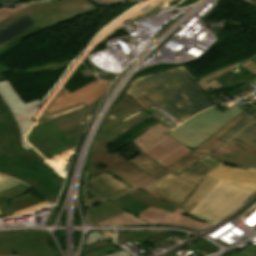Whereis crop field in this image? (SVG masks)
Instances as JSON below:
<instances>
[{
  "instance_id": "crop-field-39",
  "label": "crop field",
  "mask_w": 256,
  "mask_h": 256,
  "mask_svg": "<svg viewBox=\"0 0 256 256\" xmlns=\"http://www.w3.org/2000/svg\"><path fill=\"white\" fill-rule=\"evenodd\" d=\"M119 251L118 249H116L113 245L106 247V248H102L96 251H92L89 253H85L83 254V256H105V255H109L112 254L114 252Z\"/></svg>"
},
{
  "instance_id": "crop-field-25",
  "label": "crop field",
  "mask_w": 256,
  "mask_h": 256,
  "mask_svg": "<svg viewBox=\"0 0 256 256\" xmlns=\"http://www.w3.org/2000/svg\"><path fill=\"white\" fill-rule=\"evenodd\" d=\"M130 161L156 179L170 173L141 152Z\"/></svg>"
},
{
  "instance_id": "crop-field-53",
  "label": "crop field",
  "mask_w": 256,
  "mask_h": 256,
  "mask_svg": "<svg viewBox=\"0 0 256 256\" xmlns=\"http://www.w3.org/2000/svg\"><path fill=\"white\" fill-rule=\"evenodd\" d=\"M6 203L9 205V207L11 208L12 212H14L13 208L11 207V205L8 203V201H6Z\"/></svg>"
},
{
  "instance_id": "crop-field-45",
  "label": "crop field",
  "mask_w": 256,
  "mask_h": 256,
  "mask_svg": "<svg viewBox=\"0 0 256 256\" xmlns=\"http://www.w3.org/2000/svg\"><path fill=\"white\" fill-rule=\"evenodd\" d=\"M251 63L248 61L242 64L241 66L244 67L246 70H248L254 76L256 75V66Z\"/></svg>"
},
{
  "instance_id": "crop-field-8",
  "label": "crop field",
  "mask_w": 256,
  "mask_h": 256,
  "mask_svg": "<svg viewBox=\"0 0 256 256\" xmlns=\"http://www.w3.org/2000/svg\"><path fill=\"white\" fill-rule=\"evenodd\" d=\"M54 3L56 2L35 3L22 11L27 13L42 29L45 30L47 28L98 10L92 2H89L87 4L52 17L46 10L50 8Z\"/></svg>"
},
{
  "instance_id": "crop-field-1",
  "label": "crop field",
  "mask_w": 256,
  "mask_h": 256,
  "mask_svg": "<svg viewBox=\"0 0 256 256\" xmlns=\"http://www.w3.org/2000/svg\"><path fill=\"white\" fill-rule=\"evenodd\" d=\"M125 94L133 99L146 94L181 123L213 106L183 66L136 78Z\"/></svg>"
},
{
  "instance_id": "crop-field-37",
  "label": "crop field",
  "mask_w": 256,
  "mask_h": 256,
  "mask_svg": "<svg viewBox=\"0 0 256 256\" xmlns=\"http://www.w3.org/2000/svg\"><path fill=\"white\" fill-rule=\"evenodd\" d=\"M42 202L41 199H39L38 197L34 196L32 198L20 201L18 203L12 204V207L15 209V211L20 210V209H25L29 206H32L34 204L40 203Z\"/></svg>"
},
{
  "instance_id": "crop-field-29",
  "label": "crop field",
  "mask_w": 256,
  "mask_h": 256,
  "mask_svg": "<svg viewBox=\"0 0 256 256\" xmlns=\"http://www.w3.org/2000/svg\"><path fill=\"white\" fill-rule=\"evenodd\" d=\"M89 2L88 0H62L60 2H57L54 4L50 9L47 11L52 15L59 14L61 12H64L66 10H69L71 8L77 7L79 5H82L84 3Z\"/></svg>"
},
{
  "instance_id": "crop-field-3",
  "label": "crop field",
  "mask_w": 256,
  "mask_h": 256,
  "mask_svg": "<svg viewBox=\"0 0 256 256\" xmlns=\"http://www.w3.org/2000/svg\"><path fill=\"white\" fill-rule=\"evenodd\" d=\"M0 173L22 180L51 203H56L64 181L36 155L16 158L7 153L0 155Z\"/></svg>"
},
{
  "instance_id": "crop-field-10",
  "label": "crop field",
  "mask_w": 256,
  "mask_h": 256,
  "mask_svg": "<svg viewBox=\"0 0 256 256\" xmlns=\"http://www.w3.org/2000/svg\"><path fill=\"white\" fill-rule=\"evenodd\" d=\"M109 85L110 83L97 79L71 94L64 90L60 92L45 114L58 111L80 102L89 105L104 95Z\"/></svg>"
},
{
  "instance_id": "crop-field-20",
  "label": "crop field",
  "mask_w": 256,
  "mask_h": 256,
  "mask_svg": "<svg viewBox=\"0 0 256 256\" xmlns=\"http://www.w3.org/2000/svg\"><path fill=\"white\" fill-rule=\"evenodd\" d=\"M102 98L103 96L78 113L56 120V124L59 126L62 132L72 130L87 124L94 115Z\"/></svg>"
},
{
  "instance_id": "crop-field-2",
  "label": "crop field",
  "mask_w": 256,
  "mask_h": 256,
  "mask_svg": "<svg viewBox=\"0 0 256 256\" xmlns=\"http://www.w3.org/2000/svg\"><path fill=\"white\" fill-rule=\"evenodd\" d=\"M210 169L198 162L177 176L170 174L140 190L189 213L218 181L205 176Z\"/></svg>"
},
{
  "instance_id": "crop-field-6",
  "label": "crop field",
  "mask_w": 256,
  "mask_h": 256,
  "mask_svg": "<svg viewBox=\"0 0 256 256\" xmlns=\"http://www.w3.org/2000/svg\"><path fill=\"white\" fill-rule=\"evenodd\" d=\"M151 117L153 116L124 94L123 98L109 111L97 134L112 143L131 128Z\"/></svg>"
},
{
  "instance_id": "crop-field-35",
  "label": "crop field",
  "mask_w": 256,
  "mask_h": 256,
  "mask_svg": "<svg viewBox=\"0 0 256 256\" xmlns=\"http://www.w3.org/2000/svg\"><path fill=\"white\" fill-rule=\"evenodd\" d=\"M250 122H252V120L249 119L248 117H246L240 123H238L235 127H233L231 130H229V132H227L225 135H223L219 140L226 143L235 133H237L242 127H244L245 125H247Z\"/></svg>"
},
{
  "instance_id": "crop-field-4",
  "label": "crop field",
  "mask_w": 256,
  "mask_h": 256,
  "mask_svg": "<svg viewBox=\"0 0 256 256\" xmlns=\"http://www.w3.org/2000/svg\"><path fill=\"white\" fill-rule=\"evenodd\" d=\"M253 193L248 189L219 180L190 214L215 224L234 212Z\"/></svg>"
},
{
  "instance_id": "crop-field-21",
  "label": "crop field",
  "mask_w": 256,
  "mask_h": 256,
  "mask_svg": "<svg viewBox=\"0 0 256 256\" xmlns=\"http://www.w3.org/2000/svg\"><path fill=\"white\" fill-rule=\"evenodd\" d=\"M89 222L93 225L125 212L108 199L86 207ZM91 224V225H92Z\"/></svg>"
},
{
  "instance_id": "crop-field-34",
  "label": "crop field",
  "mask_w": 256,
  "mask_h": 256,
  "mask_svg": "<svg viewBox=\"0 0 256 256\" xmlns=\"http://www.w3.org/2000/svg\"><path fill=\"white\" fill-rule=\"evenodd\" d=\"M235 67H236L235 65L234 66H229V67H227L225 69H222V70H220V71H218L216 73H213V74H211V75H209V76H207V77H205L203 79L198 80L197 83L202 87V89L204 91H206L207 89L210 88L206 82H208V81H210V80H212V79H214V78H216V77H218L220 75H223V74L229 72L231 69H233Z\"/></svg>"
},
{
  "instance_id": "crop-field-55",
  "label": "crop field",
  "mask_w": 256,
  "mask_h": 256,
  "mask_svg": "<svg viewBox=\"0 0 256 256\" xmlns=\"http://www.w3.org/2000/svg\"><path fill=\"white\" fill-rule=\"evenodd\" d=\"M31 1H33V0H31Z\"/></svg>"
},
{
  "instance_id": "crop-field-49",
  "label": "crop field",
  "mask_w": 256,
  "mask_h": 256,
  "mask_svg": "<svg viewBox=\"0 0 256 256\" xmlns=\"http://www.w3.org/2000/svg\"><path fill=\"white\" fill-rule=\"evenodd\" d=\"M19 1H21V0H0V3L14 5L15 3L19 2Z\"/></svg>"
},
{
  "instance_id": "crop-field-26",
  "label": "crop field",
  "mask_w": 256,
  "mask_h": 256,
  "mask_svg": "<svg viewBox=\"0 0 256 256\" xmlns=\"http://www.w3.org/2000/svg\"><path fill=\"white\" fill-rule=\"evenodd\" d=\"M28 191L30 190H28L25 186L21 184L15 188H11L5 192L0 193V210L3 211L9 209L7 204L4 202L6 200H8L10 204H12L20 200L34 196Z\"/></svg>"
},
{
  "instance_id": "crop-field-32",
  "label": "crop field",
  "mask_w": 256,
  "mask_h": 256,
  "mask_svg": "<svg viewBox=\"0 0 256 256\" xmlns=\"http://www.w3.org/2000/svg\"><path fill=\"white\" fill-rule=\"evenodd\" d=\"M161 232L162 231H137V232H135V233L119 240V241H117V243L119 245H121V244H123V243H125V242H127V241H129L133 238L135 240H137L138 243H140V242L145 241V240H147V239H149V238H151V237H153V236H155V235H157Z\"/></svg>"
},
{
  "instance_id": "crop-field-48",
  "label": "crop field",
  "mask_w": 256,
  "mask_h": 256,
  "mask_svg": "<svg viewBox=\"0 0 256 256\" xmlns=\"http://www.w3.org/2000/svg\"><path fill=\"white\" fill-rule=\"evenodd\" d=\"M21 147L26 150V151H30V152H33L35 153L39 158L40 160H43V158L41 156H39L30 146H28L27 144L25 145H21Z\"/></svg>"
},
{
  "instance_id": "crop-field-27",
  "label": "crop field",
  "mask_w": 256,
  "mask_h": 256,
  "mask_svg": "<svg viewBox=\"0 0 256 256\" xmlns=\"http://www.w3.org/2000/svg\"><path fill=\"white\" fill-rule=\"evenodd\" d=\"M241 141L256 148V123L248 125L227 144L233 147Z\"/></svg>"
},
{
  "instance_id": "crop-field-33",
  "label": "crop field",
  "mask_w": 256,
  "mask_h": 256,
  "mask_svg": "<svg viewBox=\"0 0 256 256\" xmlns=\"http://www.w3.org/2000/svg\"><path fill=\"white\" fill-rule=\"evenodd\" d=\"M105 197L103 194H101L99 191H97L96 189H94L92 186H90L88 183H86L85 186V202H86V206L95 203L97 201H100Z\"/></svg>"
},
{
  "instance_id": "crop-field-44",
  "label": "crop field",
  "mask_w": 256,
  "mask_h": 256,
  "mask_svg": "<svg viewBox=\"0 0 256 256\" xmlns=\"http://www.w3.org/2000/svg\"><path fill=\"white\" fill-rule=\"evenodd\" d=\"M101 237H103V235L99 232L89 234V236L87 237L85 246L94 242H98L96 239Z\"/></svg>"
},
{
  "instance_id": "crop-field-19",
  "label": "crop field",
  "mask_w": 256,
  "mask_h": 256,
  "mask_svg": "<svg viewBox=\"0 0 256 256\" xmlns=\"http://www.w3.org/2000/svg\"><path fill=\"white\" fill-rule=\"evenodd\" d=\"M86 182L99 190L108 198L117 197L127 191L132 190L123 184L120 180L108 173L98 175Z\"/></svg>"
},
{
  "instance_id": "crop-field-52",
  "label": "crop field",
  "mask_w": 256,
  "mask_h": 256,
  "mask_svg": "<svg viewBox=\"0 0 256 256\" xmlns=\"http://www.w3.org/2000/svg\"><path fill=\"white\" fill-rule=\"evenodd\" d=\"M250 118L256 122V114L251 116Z\"/></svg>"
},
{
  "instance_id": "crop-field-16",
  "label": "crop field",
  "mask_w": 256,
  "mask_h": 256,
  "mask_svg": "<svg viewBox=\"0 0 256 256\" xmlns=\"http://www.w3.org/2000/svg\"><path fill=\"white\" fill-rule=\"evenodd\" d=\"M190 152L189 149L165 135L143 153L165 168Z\"/></svg>"
},
{
  "instance_id": "crop-field-43",
  "label": "crop field",
  "mask_w": 256,
  "mask_h": 256,
  "mask_svg": "<svg viewBox=\"0 0 256 256\" xmlns=\"http://www.w3.org/2000/svg\"><path fill=\"white\" fill-rule=\"evenodd\" d=\"M25 15H27V14H25V13L22 12V11L19 12V13H17L16 15H14V16L10 17L9 19H7V20L3 21L2 23H0V29H2V28H4V27L8 26L9 24H11V23H13L14 21H16V20L22 18V17L25 16Z\"/></svg>"
},
{
  "instance_id": "crop-field-41",
  "label": "crop field",
  "mask_w": 256,
  "mask_h": 256,
  "mask_svg": "<svg viewBox=\"0 0 256 256\" xmlns=\"http://www.w3.org/2000/svg\"><path fill=\"white\" fill-rule=\"evenodd\" d=\"M232 256H256V246L250 244Z\"/></svg>"
},
{
  "instance_id": "crop-field-9",
  "label": "crop field",
  "mask_w": 256,
  "mask_h": 256,
  "mask_svg": "<svg viewBox=\"0 0 256 256\" xmlns=\"http://www.w3.org/2000/svg\"><path fill=\"white\" fill-rule=\"evenodd\" d=\"M61 134L60 129L52 121L35 126L27 139L33 147L48 158L70 148L61 143Z\"/></svg>"
},
{
  "instance_id": "crop-field-13",
  "label": "crop field",
  "mask_w": 256,
  "mask_h": 256,
  "mask_svg": "<svg viewBox=\"0 0 256 256\" xmlns=\"http://www.w3.org/2000/svg\"><path fill=\"white\" fill-rule=\"evenodd\" d=\"M246 116L244 114H241L231 120L228 124H226L222 129H220L214 136L209 138L207 141H205L202 145L195 148L193 152L186 155L179 161L173 163L172 165L166 167L170 172L179 173L188 166L192 165L193 163L197 162L201 158L207 156L208 154L214 152L216 149L220 148L224 143L218 141L223 134H225L230 128L235 126L238 122H240L243 118Z\"/></svg>"
},
{
  "instance_id": "crop-field-5",
  "label": "crop field",
  "mask_w": 256,
  "mask_h": 256,
  "mask_svg": "<svg viewBox=\"0 0 256 256\" xmlns=\"http://www.w3.org/2000/svg\"><path fill=\"white\" fill-rule=\"evenodd\" d=\"M241 113L236 105L222 113L213 107L190 118L173 130L168 136L186 147L194 148Z\"/></svg>"
},
{
  "instance_id": "crop-field-14",
  "label": "crop field",
  "mask_w": 256,
  "mask_h": 256,
  "mask_svg": "<svg viewBox=\"0 0 256 256\" xmlns=\"http://www.w3.org/2000/svg\"><path fill=\"white\" fill-rule=\"evenodd\" d=\"M0 95L2 96L5 104L11 110L13 117L20 129L21 144H25L26 142L24 141V135L33 125L31 121H29L27 113L31 107L39 103L40 100L24 105L20 97L10 86L8 80L0 82Z\"/></svg>"
},
{
  "instance_id": "crop-field-40",
  "label": "crop field",
  "mask_w": 256,
  "mask_h": 256,
  "mask_svg": "<svg viewBox=\"0 0 256 256\" xmlns=\"http://www.w3.org/2000/svg\"><path fill=\"white\" fill-rule=\"evenodd\" d=\"M22 183V182H21ZM20 184L19 182L0 175V192Z\"/></svg>"
},
{
  "instance_id": "crop-field-36",
  "label": "crop field",
  "mask_w": 256,
  "mask_h": 256,
  "mask_svg": "<svg viewBox=\"0 0 256 256\" xmlns=\"http://www.w3.org/2000/svg\"><path fill=\"white\" fill-rule=\"evenodd\" d=\"M29 5L18 6L14 9L5 6L4 8L0 9V22L9 18L10 16L14 15L15 13L21 11L22 9H24L25 7H27Z\"/></svg>"
},
{
  "instance_id": "crop-field-46",
  "label": "crop field",
  "mask_w": 256,
  "mask_h": 256,
  "mask_svg": "<svg viewBox=\"0 0 256 256\" xmlns=\"http://www.w3.org/2000/svg\"><path fill=\"white\" fill-rule=\"evenodd\" d=\"M117 232H118V235H117L116 241L125 237V236H127V235H129V234H131V233H133V232H135V231H117Z\"/></svg>"
},
{
  "instance_id": "crop-field-7",
  "label": "crop field",
  "mask_w": 256,
  "mask_h": 256,
  "mask_svg": "<svg viewBox=\"0 0 256 256\" xmlns=\"http://www.w3.org/2000/svg\"><path fill=\"white\" fill-rule=\"evenodd\" d=\"M0 256H56L47 243V232L0 233Z\"/></svg>"
},
{
  "instance_id": "crop-field-11",
  "label": "crop field",
  "mask_w": 256,
  "mask_h": 256,
  "mask_svg": "<svg viewBox=\"0 0 256 256\" xmlns=\"http://www.w3.org/2000/svg\"><path fill=\"white\" fill-rule=\"evenodd\" d=\"M7 152L12 157L32 155L20 147L17 125L0 97V154Z\"/></svg>"
},
{
  "instance_id": "crop-field-12",
  "label": "crop field",
  "mask_w": 256,
  "mask_h": 256,
  "mask_svg": "<svg viewBox=\"0 0 256 256\" xmlns=\"http://www.w3.org/2000/svg\"><path fill=\"white\" fill-rule=\"evenodd\" d=\"M200 162L213 167L207 176L228 181L256 191V169L248 168L246 170H242L220 163L209 157L201 160Z\"/></svg>"
},
{
  "instance_id": "crop-field-17",
  "label": "crop field",
  "mask_w": 256,
  "mask_h": 256,
  "mask_svg": "<svg viewBox=\"0 0 256 256\" xmlns=\"http://www.w3.org/2000/svg\"><path fill=\"white\" fill-rule=\"evenodd\" d=\"M210 157L243 169L248 168L252 164L256 165V149L242 142L234 148L226 144L211 154Z\"/></svg>"
},
{
  "instance_id": "crop-field-18",
  "label": "crop field",
  "mask_w": 256,
  "mask_h": 256,
  "mask_svg": "<svg viewBox=\"0 0 256 256\" xmlns=\"http://www.w3.org/2000/svg\"><path fill=\"white\" fill-rule=\"evenodd\" d=\"M140 190V189H139ZM138 189L127 193L123 196L118 198L110 199L112 202L117 204L118 206L124 208L125 210L129 211L133 214H138L143 210L149 208V206L161 208L167 211H173L176 207L166 204L157 200L156 198L149 196Z\"/></svg>"
},
{
  "instance_id": "crop-field-15",
  "label": "crop field",
  "mask_w": 256,
  "mask_h": 256,
  "mask_svg": "<svg viewBox=\"0 0 256 256\" xmlns=\"http://www.w3.org/2000/svg\"><path fill=\"white\" fill-rule=\"evenodd\" d=\"M186 213L180 209H176L172 213L162 211L157 208L150 207L144 212L137 216L149 222L150 224H171L177 226H185L197 230H205L211 226L201 222L194 221L185 217L183 214Z\"/></svg>"
},
{
  "instance_id": "crop-field-51",
  "label": "crop field",
  "mask_w": 256,
  "mask_h": 256,
  "mask_svg": "<svg viewBox=\"0 0 256 256\" xmlns=\"http://www.w3.org/2000/svg\"><path fill=\"white\" fill-rule=\"evenodd\" d=\"M104 3H116V2H122V1H128V0H98Z\"/></svg>"
},
{
  "instance_id": "crop-field-24",
  "label": "crop field",
  "mask_w": 256,
  "mask_h": 256,
  "mask_svg": "<svg viewBox=\"0 0 256 256\" xmlns=\"http://www.w3.org/2000/svg\"><path fill=\"white\" fill-rule=\"evenodd\" d=\"M35 26H37V24L28 15L25 16L0 31V44Z\"/></svg>"
},
{
  "instance_id": "crop-field-23",
  "label": "crop field",
  "mask_w": 256,
  "mask_h": 256,
  "mask_svg": "<svg viewBox=\"0 0 256 256\" xmlns=\"http://www.w3.org/2000/svg\"><path fill=\"white\" fill-rule=\"evenodd\" d=\"M135 101L140 104L145 111L156 117L171 129H174L181 124L155 105L146 95L135 99Z\"/></svg>"
},
{
  "instance_id": "crop-field-47",
  "label": "crop field",
  "mask_w": 256,
  "mask_h": 256,
  "mask_svg": "<svg viewBox=\"0 0 256 256\" xmlns=\"http://www.w3.org/2000/svg\"><path fill=\"white\" fill-rule=\"evenodd\" d=\"M170 235L171 234H168V233L164 232V233H161V234H159V235H157V236H155V237H153L151 239L154 240L155 242H157V241H159L161 239H164V238H166V237H168Z\"/></svg>"
},
{
  "instance_id": "crop-field-42",
  "label": "crop field",
  "mask_w": 256,
  "mask_h": 256,
  "mask_svg": "<svg viewBox=\"0 0 256 256\" xmlns=\"http://www.w3.org/2000/svg\"><path fill=\"white\" fill-rule=\"evenodd\" d=\"M109 245H111V242H109L108 240L101 241L98 243L91 244L87 247H84V252L92 251V250L99 249Z\"/></svg>"
},
{
  "instance_id": "crop-field-38",
  "label": "crop field",
  "mask_w": 256,
  "mask_h": 256,
  "mask_svg": "<svg viewBox=\"0 0 256 256\" xmlns=\"http://www.w3.org/2000/svg\"><path fill=\"white\" fill-rule=\"evenodd\" d=\"M195 244H196V246H193V245H190V246L195 247L207 254L219 250L217 247H215L214 245H212L211 243H209L208 241L203 240V239L196 242Z\"/></svg>"
},
{
  "instance_id": "crop-field-30",
  "label": "crop field",
  "mask_w": 256,
  "mask_h": 256,
  "mask_svg": "<svg viewBox=\"0 0 256 256\" xmlns=\"http://www.w3.org/2000/svg\"><path fill=\"white\" fill-rule=\"evenodd\" d=\"M43 31L39 26L30 29L22 34H20L19 36L11 39L10 41L0 45V54H2L3 52H5L6 50H8L9 48H11L12 46L16 45L17 43H19L20 41H23L39 32Z\"/></svg>"
},
{
  "instance_id": "crop-field-28",
  "label": "crop field",
  "mask_w": 256,
  "mask_h": 256,
  "mask_svg": "<svg viewBox=\"0 0 256 256\" xmlns=\"http://www.w3.org/2000/svg\"><path fill=\"white\" fill-rule=\"evenodd\" d=\"M115 224H149L138 217L130 214L129 212H125L121 215H118L114 218L106 220L97 225H115Z\"/></svg>"
},
{
  "instance_id": "crop-field-54",
  "label": "crop field",
  "mask_w": 256,
  "mask_h": 256,
  "mask_svg": "<svg viewBox=\"0 0 256 256\" xmlns=\"http://www.w3.org/2000/svg\"><path fill=\"white\" fill-rule=\"evenodd\" d=\"M0 215H1V212H0Z\"/></svg>"
},
{
  "instance_id": "crop-field-31",
  "label": "crop field",
  "mask_w": 256,
  "mask_h": 256,
  "mask_svg": "<svg viewBox=\"0 0 256 256\" xmlns=\"http://www.w3.org/2000/svg\"><path fill=\"white\" fill-rule=\"evenodd\" d=\"M87 125L62 134V143L68 146H76Z\"/></svg>"
},
{
  "instance_id": "crop-field-22",
  "label": "crop field",
  "mask_w": 256,
  "mask_h": 256,
  "mask_svg": "<svg viewBox=\"0 0 256 256\" xmlns=\"http://www.w3.org/2000/svg\"><path fill=\"white\" fill-rule=\"evenodd\" d=\"M170 131V129L159 123L135 138L132 143L139 147L141 149L140 151L143 152Z\"/></svg>"
},
{
  "instance_id": "crop-field-50",
  "label": "crop field",
  "mask_w": 256,
  "mask_h": 256,
  "mask_svg": "<svg viewBox=\"0 0 256 256\" xmlns=\"http://www.w3.org/2000/svg\"><path fill=\"white\" fill-rule=\"evenodd\" d=\"M129 255H131V254H129L127 251H125V250H122V251H120V252H117V253H115V254H112V255H109V256H129Z\"/></svg>"
}]
</instances>
